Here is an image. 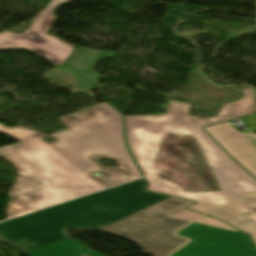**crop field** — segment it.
<instances>
[{"label":"crop field","mask_w":256,"mask_h":256,"mask_svg":"<svg viewBox=\"0 0 256 256\" xmlns=\"http://www.w3.org/2000/svg\"><path fill=\"white\" fill-rule=\"evenodd\" d=\"M191 203L174 197L167 198L99 231L122 236L150 251L153 256H167L188 242L172 233L189 221L166 216Z\"/></svg>","instance_id":"crop-field-4"},{"label":"crop field","mask_w":256,"mask_h":256,"mask_svg":"<svg viewBox=\"0 0 256 256\" xmlns=\"http://www.w3.org/2000/svg\"><path fill=\"white\" fill-rule=\"evenodd\" d=\"M146 185L142 178L1 222L0 240L28 253L68 238L67 228L93 232L168 197L145 192Z\"/></svg>","instance_id":"crop-field-3"},{"label":"crop field","mask_w":256,"mask_h":256,"mask_svg":"<svg viewBox=\"0 0 256 256\" xmlns=\"http://www.w3.org/2000/svg\"><path fill=\"white\" fill-rule=\"evenodd\" d=\"M87 254L89 256H103L90 251V248L82 243L68 238L53 245L47 246L40 250L28 253V256H81Z\"/></svg>","instance_id":"crop-field-12"},{"label":"crop field","mask_w":256,"mask_h":256,"mask_svg":"<svg viewBox=\"0 0 256 256\" xmlns=\"http://www.w3.org/2000/svg\"><path fill=\"white\" fill-rule=\"evenodd\" d=\"M0 132L18 140V141H23V140H27V139L45 135V134L30 130V129H27L24 127L7 128L2 125H0Z\"/></svg>","instance_id":"crop-field-13"},{"label":"crop field","mask_w":256,"mask_h":256,"mask_svg":"<svg viewBox=\"0 0 256 256\" xmlns=\"http://www.w3.org/2000/svg\"><path fill=\"white\" fill-rule=\"evenodd\" d=\"M238 163L256 177V136L241 134L228 123L204 128Z\"/></svg>","instance_id":"crop-field-8"},{"label":"crop field","mask_w":256,"mask_h":256,"mask_svg":"<svg viewBox=\"0 0 256 256\" xmlns=\"http://www.w3.org/2000/svg\"><path fill=\"white\" fill-rule=\"evenodd\" d=\"M61 68L69 72L84 89H90L95 87L92 83L83 78L80 74H78L66 63Z\"/></svg>","instance_id":"crop-field-14"},{"label":"crop field","mask_w":256,"mask_h":256,"mask_svg":"<svg viewBox=\"0 0 256 256\" xmlns=\"http://www.w3.org/2000/svg\"><path fill=\"white\" fill-rule=\"evenodd\" d=\"M240 202L254 212L256 210V193L240 199ZM253 212L244 209L239 202L235 201L208 215L220 219L244 232L250 233L256 244V213Z\"/></svg>","instance_id":"crop-field-9"},{"label":"crop field","mask_w":256,"mask_h":256,"mask_svg":"<svg viewBox=\"0 0 256 256\" xmlns=\"http://www.w3.org/2000/svg\"><path fill=\"white\" fill-rule=\"evenodd\" d=\"M83 256H87V255H83Z\"/></svg>","instance_id":"crop-field-18"},{"label":"crop field","mask_w":256,"mask_h":256,"mask_svg":"<svg viewBox=\"0 0 256 256\" xmlns=\"http://www.w3.org/2000/svg\"><path fill=\"white\" fill-rule=\"evenodd\" d=\"M201 215L202 214H198V213L183 209V210H181L177 213H174V214L170 215L169 217H174V218H179V219L192 221V220L198 218Z\"/></svg>","instance_id":"crop-field-16"},{"label":"crop field","mask_w":256,"mask_h":256,"mask_svg":"<svg viewBox=\"0 0 256 256\" xmlns=\"http://www.w3.org/2000/svg\"><path fill=\"white\" fill-rule=\"evenodd\" d=\"M0 154L15 166L20 176V178L17 180V182L15 183V185L9 193L11 198L15 199V201L10 202L9 204L7 219L32 212V209L27 205V203L20 197V195L17 192L33 188L39 185H43V183H41L28 171L22 168L18 163H16L13 159L6 155L2 150H0Z\"/></svg>","instance_id":"crop-field-10"},{"label":"crop field","mask_w":256,"mask_h":256,"mask_svg":"<svg viewBox=\"0 0 256 256\" xmlns=\"http://www.w3.org/2000/svg\"><path fill=\"white\" fill-rule=\"evenodd\" d=\"M196 223H200V224H204V225H208V226H213V227L235 230V229L229 227L228 225H226L225 223H223V222H221L217 219L208 217V216L196 221ZM235 231H237V230H235Z\"/></svg>","instance_id":"crop-field-15"},{"label":"crop field","mask_w":256,"mask_h":256,"mask_svg":"<svg viewBox=\"0 0 256 256\" xmlns=\"http://www.w3.org/2000/svg\"><path fill=\"white\" fill-rule=\"evenodd\" d=\"M241 101L224 105L218 117L186 116L189 104L171 101L166 115L125 116L129 146L147 181L148 190L197 201L189 207L207 213L256 190V179L244 171L201 127L255 113L252 89ZM165 133L195 137L222 192L195 193L158 177L153 163Z\"/></svg>","instance_id":"crop-field-2"},{"label":"crop field","mask_w":256,"mask_h":256,"mask_svg":"<svg viewBox=\"0 0 256 256\" xmlns=\"http://www.w3.org/2000/svg\"><path fill=\"white\" fill-rule=\"evenodd\" d=\"M115 52L96 51L83 47H78L68 59V63L74 66L82 74L88 77L95 84L96 80L100 78L96 73L89 69L90 66L94 67L101 57L113 58Z\"/></svg>","instance_id":"crop-field-11"},{"label":"crop field","mask_w":256,"mask_h":256,"mask_svg":"<svg viewBox=\"0 0 256 256\" xmlns=\"http://www.w3.org/2000/svg\"><path fill=\"white\" fill-rule=\"evenodd\" d=\"M173 144L177 146H173ZM171 148L176 150V152L180 151L179 153L182 155L171 153L174 152L170 150ZM154 166L158 174L172 181H174L173 177H180L182 181H174L173 183L188 190L196 192L219 190L215 181H213L214 177L211 175L209 167L194 138L166 134ZM197 169L203 171L198 172ZM168 171L171 174H167ZM199 173L203 174L200 175ZM207 174L210 175L209 178H207ZM204 179L207 180L205 181ZM209 179L213 182L215 190L205 184ZM191 185L195 186L191 187Z\"/></svg>","instance_id":"crop-field-5"},{"label":"crop field","mask_w":256,"mask_h":256,"mask_svg":"<svg viewBox=\"0 0 256 256\" xmlns=\"http://www.w3.org/2000/svg\"><path fill=\"white\" fill-rule=\"evenodd\" d=\"M58 0H53L33 21L30 29L23 34L9 31L0 33V49L22 47L31 50L57 65H61L73 48L47 36L39 28L49 10Z\"/></svg>","instance_id":"crop-field-7"},{"label":"crop field","mask_w":256,"mask_h":256,"mask_svg":"<svg viewBox=\"0 0 256 256\" xmlns=\"http://www.w3.org/2000/svg\"><path fill=\"white\" fill-rule=\"evenodd\" d=\"M65 1H68V0H59L55 6L50 10V12L47 14L42 26H41V30L45 31L46 32V28L49 27V25L51 24L52 20H53V17L50 15V13L52 12L53 9H55L59 4L65 2Z\"/></svg>","instance_id":"crop-field-17"},{"label":"crop field","mask_w":256,"mask_h":256,"mask_svg":"<svg viewBox=\"0 0 256 256\" xmlns=\"http://www.w3.org/2000/svg\"><path fill=\"white\" fill-rule=\"evenodd\" d=\"M176 235L192 242L171 256H256V249L246 234L193 223Z\"/></svg>","instance_id":"crop-field-6"},{"label":"crop field","mask_w":256,"mask_h":256,"mask_svg":"<svg viewBox=\"0 0 256 256\" xmlns=\"http://www.w3.org/2000/svg\"><path fill=\"white\" fill-rule=\"evenodd\" d=\"M121 116L104 102L58 118L69 130L47 135L51 144L44 136L0 148L45 184L19 192L33 211L110 187L97 171L112 186L141 177L126 150ZM99 157L116 160L118 168L98 165Z\"/></svg>","instance_id":"crop-field-1"}]
</instances>
